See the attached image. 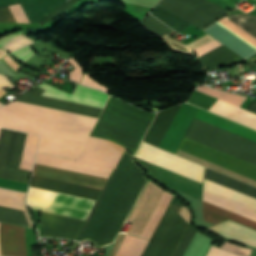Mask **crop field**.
Here are the masks:
<instances>
[{
    "label": "crop field",
    "mask_w": 256,
    "mask_h": 256,
    "mask_svg": "<svg viewBox=\"0 0 256 256\" xmlns=\"http://www.w3.org/2000/svg\"><path fill=\"white\" fill-rule=\"evenodd\" d=\"M96 119L12 101L0 108V126L41 135L39 151L75 159Z\"/></svg>",
    "instance_id": "obj_1"
},
{
    "label": "crop field",
    "mask_w": 256,
    "mask_h": 256,
    "mask_svg": "<svg viewBox=\"0 0 256 256\" xmlns=\"http://www.w3.org/2000/svg\"><path fill=\"white\" fill-rule=\"evenodd\" d=\"M144 183L142 171L125 150L77 241L89 239L98 247L114 241Z\"/></svg>",
    "instance_id": "obj_2"
},
{
    "label": "crop field",
    "mask_w": 256,
    "mask_h": 256,
    "mask_svg": "<svg viewBox=\"0 0 256 256\" xmlns=\"http://www.w3.org/2000/svg\"><path fill=\"white\" fill-rule=\"evenodd\" d=\"M37 165L52 167L56 169L86 174L90 176L100 177L108 179L112 169L102 166L92 165L88 163L78 162L74 160L64 159L60 157L50 156L46 154L38 153L36 163ZM34 167L35 176L47 177L60 181L80 184L84 186L94 187L102 189L105 184V179L90 177L86 175L56 170L52 168L37 166ZM47 178L32 177V187L51 190L55 192L70 194L74 196L84 197L88 199L96 200L100 190L84 187L80 185L60 182Z\"/></svg>",
    "instance_id": "obj_3"
},
{
    "label": "crop field",
    "mask_w": 256,
    "mask_h": 256,
    "mask_svg": "<svg viewBox=\"0 0 256 256\" xmlns=\"http://www.w3.org/2000/svg\"><path fill=\"white\" fill-rule=\"evenodd\" d=\"M205 177L208 179H211L213 181L219 182L221 184H224L226 186H229L233 189H236L238 191H241L245 194H248L250 196H253L256 198V188L253 186H250L248 184H245L243 182H240L236 179H233L231 177H228L226 175H223L221 173H218L214 170H211L209 168H206V174ZM204 180L203 189L211 192L213 194H216L220 197H223L227 200H230L234 203H237L239 205H242L246 208H249L251 210L256 211V199L253 197H250L248 195H245L241 192H238L236 190H233L229 187H226L224 185H221L219 183L213 182L211 180L206 179ZM203 190V200L206 202H209L211 204H214L216 206H219L221 208H224L226 210H229L231 212H234L236 214H239L241 216H244L246 218H249L251 220L256 221V212L251 211L249 209H246L242 206H239L237 204H234L230 201H227L223 198H220L216 195H213L211 193H208ZM203 201V208L209 211H212L214 213H217L219 215L225 216L227 218H230L232 220H235L237 222H240L242 224H245L247 226H250L252 228L256 229V222L251 221L249 219H246L244 217H241L239 215H236L234 213H231L229 211H226L224 209H221L219 207H216L214 205H211L209 203H206ZM203 209L204 219L216 224L220 221H223L227 218L219 216L217 214H214L212 212L206 211Z\"/></svg>",
    "instance_id": "obj_4"
},
{
    "label": "crop field",
    "mask_w": 256,
    "mask_h": 256,
    "mask_svg": "<svg viewBox=\"0 0 256 256\" xmlns=\"http://www.w3.org/2000/svg\"><path fill=\"white\" fill-rule=\"evenodd\" d=\"M195 118L256 141V131L199 108ZM193 119L185 137L256 164V142Z\"/></svg>",
    "instance_id": "obj_5"
},
{
    "label": "crop field",
    "mask_w": 256,
    "mask_h": 256,
    "mask_svg": "<svg viewBox=\"0 0 256 256\" xmlns=\"http://www.w3.org/2000/svg\"><path fill=\"white\" fill-rule=\"evenodd\" d=\"M179 106L180 105H177V106L171 107L169 109L158 112L144 141H146L154 146L159 147V145H160L169 125L171 124ZM179 148L189 151L191 153H194L198 156H201L203 158H206L208 160H211L213 162H216L218 164H221L223 166H226L230 169H233L235 171H238L240 173H243L245 175H248V176L256 179V165H254V164H251V163L241 160L239 158L233 157L231 155H228V154L218 151L216 149L210 148V147L200 144L198 142L192 141L185 137L181 141ZM179 148L176 151V154H178V155H181L183 157H186L188 159H191L193 161H196L198 163H201L203 165H206L208 167H211L213 169H216L218 171H221L223 173H226L228 175H231L233 177H236L240 180H243L245 182H248V183L256 186V180L253 178H250L248 176H245L243 174H240L238 172L230 170L226 167H223L221 165H218L216 163H213L211 161H208L206 159L198 157L194 154H191V153L181 150Z\"/></svg>",
    "instance_id": "obj_6"
},
{
    "label": "crop field",
    "mask_w": 256,
    "mask_h": 256,
    "mask_svg": "<svg viewBox=\"0 0 256 256\" xmlns=\"http://www.w3.org/2000/svg\"><path fill=\"white\" fill-rule=\"evenodd\" d=\"M153 116L110 97L91 135L120 143L133 155Z\"/></svg>",
    "instance_id": "obj_7"
},
{
    "label": "crop field",
    "mask_w": 256,
    "mask_h": 256,
    "mask_svg": "<svg viewBox=\"0 0 256 256\" xmlns=\"http://www.w3.org/2000/svg\"><path fill=\"white\" fill-rule=\"evenodd\" d=\"M243 58L256 53V16L231 14L204 30Z\"/></svg>",
    "instance_id": "obj_8"
},
{
    "label": "crop field",
    "mask_w": 256,
    "mask_h": 256,
    "mask_svg": "<svg viewBox=\"0 0 256 256\" xmlns=\"http://www.w3.org/2000/svg\"><path fill=\"white\" fill-rule=\"evenodd\" d=\"M96 202V201H95ZM94 201L30 187V208L85 220Z\"/></svg>",
    "instance_id": "obj_9"
},
{
    "label": "crop field",
    "mask_w": 256,
    "mask_h": 256,
    "mask_svg": "<svg viewBox=\"0 0 256 256\" xmlns=\"http://www.w3.org/2000/svg\"><path fill=\"white\" fill-rule=\"evenodd\" d=\"M187 225L169 204L142 256H171Z\"/></svg>",
    "instance_id": "obj_10"
},
{
    "label": "crop field",
    "mask_w": 256,
    "mask_h": 256,
    "mask_svg": "<svg viewBox=\"0 0 256 256\" xmlns=\"http://www.w3.org/2000/svg\"><path fill=\"white\" fill-rule=\"evenodd\" d=\"M158 5L200 29L229 13L207 0H162Z\"/></svg>",
    "instance_id": "obj_11"
},
{
    "label": "crop field",
    "mask_w": 256,
    "mask_h": 256,
    "mask_svg": "<svg viewBox=\"0 0 256 256\" xmlns=\"http://www.w3.org/2000/svg\"><path fill=\"white\" fill-rule=\"evenodd\" d=\"M135 156L202 183L205 167L150 144L142 142Z\"/></svg>",
    "instance_id": "obj_12"
},
{
    "label": "crop field",
    "mask_w": 256,
    "mask_h": 256,
    "mask_svg": "<svg viewBox=\"0 0 256 256\" xmlns=\"http://www.w3.org/2000/svg\"><path fill=\"white\" fill-rule=\"evenodd\" d=\"M124 150L112 141L89 136L78 160L115 168Z\"/></svg>",
    "instance_id": "obj_13"
},
{
    "label": "crop field",
    "mask_w": 256,
    "mask_h": 256,
    "mask_svg": "<svg viewBox=\"0 0 256 256\" xmlns=\"http://www.w3.org/2000/svg\"><path fill=\"white\" fill-rule=\"evenodd\" d=\"M163 193V189L148 181L128 218L133 222L128 233L140 236Z\"/></svg>",
    "instance_id": "obj_14"
},
{
    "label": "crop field",
    "mask_w": 256,
    "mask_h": 256,
    "mask_svg": "<svg viewBox=\"0 0 256 256\" xmlns=\"http://www.w3.org/2000/svg\"><path fill=\"white\" fill-rule=\"evenodd\" d=\"M25 135L26 133L14 131L6 165L18 168ZM38 141L37 135L27 133L19 168L31 171Z\"/></svg>",
    "instance_id": "obj_15"
},
{
    "label": "crop field",
    "mask_w": 256,
    "mask_h": 256,
    "mask_svg": "<svg viewBox=\"0 0 256 256\" xmlns=\"http://www.w3.org/2000/svg\"><path fill=\"white\" fill-rule=\"evenodd\" d=\"M38 87L46 90L42 94L43 96H48L52 98L62 99L66 101L76 102L100 108H103L105 102L109 97V95L104 92L90 89L82 85H77L73 95L60 91L45 83L39 85Z\"/></svg>",
    "instance_id": "obj_16"
},
{
    "label": "crop field",
    "mask_w": 256,
    "mask_h": 256,
    "mask_svg": "<svg viewBox=\"0 0 256 256\" xmlns=\"http://www.w3.org/2000/svg\"><path fill=\"white\" fill-rule=\"evenodd\" d=\"M43 92L44 90L37 87L34 92L29 93L26 91L16 100L44 107L54 108L58 110L68 111L72 113H77L81 115L91 116L95 118L98 117L101 111V109L99 108L89 107L85 105L40 96Z\"/></svg>",
    "instance_id": "obj_17"
},
{
    "label": "crop field",
    "mask_w": 256,
    "mask_h": 256,
    "mask_svg": "<svg viewBox=\"0 0 256 256\" xmlns=\"http://www.w3.org/2000/svg\"><path fill=\"white\" fill-rule=\"evenodd\" d=\"M24 195L22 193L0 189V204L26 210L23 204ZM10 207L0 206V221L30 228L32 222L27 212Z\"/></svg>",
    "instance_id": "obj_18"
},
{
    "label": "crop field",
    "mask_w": 256,
    "mask_h": 256,
    "mask_svg": "<svg viewBox=\"0 0 256 256\" xmlns=\"http://www.w3.org/2000/svg\"><path fill=\"white\" fill-rule=\"evenodd\" d=\"M84 221L42 212L41 234L75 239Z\"/></svg>",
    "instance_id": "obj_19"
},
{
    "label": "crop field",
    "mask_w": 256,
    "mask_h": 256,
    "mask_svg": "<svg viewBox=\"0 0 256 256\" xmlns=\"http://www.w3.org/2000/svg\"><path fill=\"white\" fill-rule=\"evenodd\" d=\"M0 241L2 255L27 256L25 249L24 228L9 226L1 223Z\"/></svg>",
    "instance_id": "obj_20"
},
{
    "label": "crop field",
    "mask_w": 256,
    "mask_h": 256,
    "mask_svg": "<svg viewBox=\"0 0 256 256\" xmlns=\"http://www.w3.org/2000/svg\"><path fill=\"white\" fill-rule=\"evenodd\" d=\"M67 0H0V7L20 3L29 22H37Z\"/></svg>",
    "instance_id": "obj_21"
},
{
    "label": "crop field",
    "mask_w": 256,
    "mask_h": 256,
    "mask_svg": "<svg viewBox=\"0 0 256 256\" xmlns=\"http://www.w3.org/2000/svg\"><path fill=\"white\" fill-rule=\"evenodd\" d=\"M1 130L2 128H0V134ZM12 133V130L4 128L2 130V135L0 139V177L2 178L4 175L5 164L9 153ZM30 173L31 172L29 171L6 166L4 178L28 183Z\"/></svg>",
    "instance_id": "obj_22"
},
{
    "label": "crop field",
    "mask_w": 256,
    "mask_h": 256,
    "mask_svg": "<svg viewBox=\"0 0 256 256\" xmlns=\"http://www.w3.org/2000/svg\"><path fill=\"white\" fill-rule=\"evenodd\" d=\"M209 111L256 129V114L217 100Z\"/></svg>",
    "instance_id": "obj_23"
},
{
    "label": "crop field",
    "mask_w": 256,
    "mask_h": 256,
    "mask_svg": "<svg viewBox=\"0 0 256 256\" xmlns=\"http://www.w3.org/2000/svg\"><path fill=\"white\" fill-rule=\"evenodd\" d=\"M199 58L205 65L207 71L215 67L229 65L243 59L223 45Z\"/></svg>",
    "instance_id": "obj_24"
},
{
    "label": "crop field",
    "mask_w": 256,
    "mask_h": 256,
    "mask_svg": "<svg viewBox=\"0 0 256 256\" xmlns=\"http://www.w3.org/2000/svg\"><path fill=\"white\" fill-rule=\"evenodd\" d=\"M148 241L125 235L115 256H141Z\"/></svg>",
    "instance_id": "obj_25"
},
{
    "label": "crop field",
    "mask_w": 256,
    "mask_h": 256,
    "mask_svg": "<svg viewBox=\"0 0 256 256\" xmlns=\"http://www.w3.org/2000/svg\"><path fill=\"white\" fill-rule=\"evenodd\" d=\"M170 194L165 191L158 206L156 207V209H155L154 213L152 214L150 220L148 221L145 229L143 230L141 237L150 239L154 229L156 228L160 218L162 217L166 207L168 206V204L172 198V195H170Z\"/></svg>",
    "instance_id": "obj_26"
},
{
    "label": "crop field",
    "mask_w": 256,
    "mask_h": 256,
    "mask_svg": "<svg viewBox=\"0 0 256 256\" xmlns=\"http://www.w3.org/2000/svg\"><path fill=\"white\" fill-rule=\"evenodd\" d=\"M214 240L196 231L184 256H206Z\"/></svg>",
    "instance_id": "obj_27"
},
{
    "label": "crop field",
    "mask_w": 256,
    "mask_h": 256,
    "mask_svg": "<svg viewBox=\"0 0 256 256\" xmlns=\"http://www.w3.org/2000/svg\"><path fill=\"white\" fill-rule=\"evenodd\" d=\"M151 14H153L158 19H160L161 21H163L168 26H170L178 32L182 31L183 29L191 25L158 6L154 9V11Z\"/></svg>",
    "instance_id": "obj_28"
},
{
    "label": "crop field",
    "mask_w": 256,
    "mask_h": 256,
    "mask_svg": "<svg viewBox=\"0 0 256 256\" xmlns=\"http://www.w3.org/2000/svg\"><path fill=\"white\" fill-rule=\"evenodd\" d=\"M197 90L207 93L216 98H220V99L227 101L231 104H234L238 107H240V105L246 98L245 96H240V95H235V94H231V93H227V92H223V91H218V90H215L212 88H208L206 86H199L197 88Z\"/></svg>",
    "instance_id": "obj_29"
},
{
    "label": "crop field",
    "mask_w": 256,
    "mask_h": 256,
    "mask_svg": "<svg viewBox=\"0 0 256 256\" xmlns=\"http://www.w3.org/2000/svg\"><path fill=\"white\" fill-rule=\"evenodd\" d=\"M161 38H163L165 40V42L168 43L170 46H172L174 49H176L178 51H181V52H185V53H187V52L191 51L192 49H194V48H196V47L214 39L210 35L207 34L204 37H202V38L184 46L185 44L182 45L183 43L180 44L179 42L169 38L167 35H165Z\"/></svg>",
    "instance_id": "obj_30"
},
{
    "label": "crop field",
    "mask_w": 256,
    "mask_h": 256,
    "mask_svg": "<svg viewBox=\"0 0 256 256\" xmlns=\"http://www.w3.org/2000/svg\"><path fill=\"white\" fill-rule=\"evenodd\" d=\"M142 25L158 37L172 30L149 14L143 20Z\"/></svg>",
    "instance_id": "obj_31"
},
{
    "label": "crop field",
    "mask_w": 256,
    "mask_h": 256,
    "mask_svg": "<svg viewBox=\"0 0 256 256\" xmlns=\"http://www.w3.org/2000/svg\"><path fill=\"white\" fill-rule=\"evenodd\" d=\"M32 43H34L33 40H31L28 37H26V36L21 34L20 36H18L16 39H14L12 42L7 44L3 48H5L8 51L12 52L14 50H17L19 48L25 47V46L30 45Z\"/></svg>",
    "instance_id": "obj_32"
},
{
    "label": "crop field",
    "mask_w": 256,
    "mask_h": 256,
    "mask_svg": "<svg viewBox=\"0 0 256 256\" xmlns=\"http://www.w3.org/2000/svg\"><path fill=\"white\" fill-rule=\"evenodd\" d=\"M195 229L192 227V225L190 224L187 232L185 233L181 243L179 244L176 252L174 253L173 256H183L188 244L190 243L194 233H195Z\"/></svg>",
    "instance_id": "obj_33"
},
{
    "label": "crop field",
    "mask_w": 256,
    "mask_h": 256,
    "mask_svg": "<svg viewBox=\"0 0 256 256\" xmlns=\"http://www.w3.org/2000/svg\"><path fill=\"white\" fill-rule=\"evenodd\" d=\"M76 0H68L64 5H62L59 9L56 11L52 12L48 17H46L44 20L38 22L40 25L54 19L55 17L59 16L66 10H68L75 2Z\"/></svg>",
    "instance_id": "obj_34"
},
{
    "label": "crop field",
    "mask_w": 256,
    "mask_h": 256,
    "mask_svg": "<svg viewBox=\"0 0 256 256\" xmlns=\"http://www.w3.org/2000/svg\"><path fill=\"white\" fill-rule=\"evenodd\" d=\"M13 56L20 62L26 61L33 53L29 46L12 52Z\"/></svg>",
    "instance_id": "obj_35"
},
{
    "label": "crop field",
    "mask_w": 256,
    "mask_h": 256,
    "mask_svg": "<svg viewBox=\"0 0 256 256\" xmlns=\"http://www.w3.org/2000/svg\"><path fill=\"white\" fill-rule=\"evenodd\" d=\"M222 44H220L218 41H216L215 39L194 49L196 51V53L198 54V57L209 52L210 50L220 46Z\"/></svg>",
    "instance_id": "obj_36"
},
{
    "label": "crop field",
    "mask_w": 256,
    "mask_h": 256,
    "mask_svg": "<svg viewBox=\"0 0 256 256\" xmlns=\"http://www.w3.org/2000/svg\"><path fill=\"white\" fill-rule=\"evenodd\" d=\"M121 1L153 8L158 3L159 0H121Z\"/></svg>",
    "instance_id": "obj_37"
},
{
    "label": "crop field",
    "mask_w": 256,
    "mask_h": 256,
    "mask_svg": "<svg viewBox=\"0 0 256 256\" xmlns=\"http://www.w3.org/2000/svg\"><path fill=\"white\" fill-rule=\"evenodd\" d=\"M68 62L76 67L75 70L70 72V79L79 82L82 75V68L73 60V58Z\"/></svg>",
    "instance_id": "obj_38"
},
{
    "label": "crop field",
    "mask_w": 256,
    "mask_h": 256,
    "mask_svg": "<svg viewBox=\"0 0 256 256\" xmlns=\"http://www.w3.org/2000/svg\"><path fill=\"white\" fill-rule=\"evenodd\" d=\"M81 84H85V85H88V86H91V87H95V88H98V89H101V90H104L106 92H109L108 89H106L104 86H100L98 83H96L92 78H90L88 75L84 74V76L82 77L81 81H80Z\"/></svg>",
    "instance_id": "obj_39"
},
{
    "label": "crop field",
    "mask_w": 256,
    "mask_h": 256,
    "mask_svg": "<svg viewBox=\"0 0 256 256\" xmlns=\"http://www.w3.org/2000/svg\"><path fill=\"white\" fill-rule=\"evenodd\" d=\"M8 86L9 88L13 87L12 83L9 81V79L3 75L0 74V96L7 93L6 91H4L2 88ZM2 97V96H1ZM0 97V99H1ZM3 105L0 103V106Z\"/></svg>",
    "instance_id": "obj_40"
},
{
    "label": "crop field",
    "mask_w": 256,
    "mask_h": 256,
    "mask_svg": "<svg viewBox=\"0 0 256 256\" xmlns=\"http://www.w3.org/2000/svg\"><path fill=\"white\" fill-rule=\"evenodd\" d=\"M19 34H21L20 31L16 32V33H13V34L3 36L2 38H0V47L2 48L3 46H5L7 43H9L11 40H13Z\"/></svg>",
    "instance_id": "obj_41"
},
{
    "label": "crop field",
    "mask_w": 256,
    "mask_h": 256,
    "mask_svg": "<svg viewBox=\"0 0 256 256\" xmlns=\"http://www.w3.org/2000/svg\"><path fill=\"white\" fill-rule=\"evenodd\" d=\"M123 237H124V234H119V236H118L116 242L114 243V245H113V247H112L108 256H113L115 254V252H116L118 246L120 245Z\"/></svg>",
    "instance_id": "obj_42"
},
{
    "label": "crop field",
    "mask_w": 256,
    "mask_h": 256,
    "mask_svg": "<svg viewBox=\"0 0 256 256\" xmlns=\"http://www.w3.org/2000/svg\"><path fill=\"white\" fill-rule=\"evenodd\" d=\"M0 72L15 76L1 60H0Z\"/></svg>",
    "instance_id": "obj_43"
},
{
    "label": "crop field",
    "mask_w": 256,
    "mask_h": 256,
    "mask_svg": "<svg viewBox=\"0 0 256 256\" xmlns=\"http://www.w3.org/2000/svg\"><path fill=\"white\" fill-rule=\"evenodd\" d=\"M4 60L11 66L13 67L15 70L17 69V67L19 65H17L13 60H11L8 55L6 57H4Z\"/></svg>",
    "instance_id": "obj_44"
},
{
    "label": "crop field",
    "mask_w": 256,
    "mask_h": 256,
    "mask_svg": "<svg viewBox=\"0 0 256 256\" xmlns=\"http://www.w3.org/2000/svg\"><path fill=\"white\" fill-rule=\"evenodd\" d=\"M247 110L256 113V101L250 102Z\"/></svg>",
    "instance_id": "obj_45"
},
{
    "label": "crop field",
    "mask_w": 256,
    "mask_h": 256,
    "mask_svg": "<svg viewBox=\"0 0 256 256\" xmlns=\"http://www.w3.org/2000/svg\"><path fill=\"white\" fill-rule=\"evenodd\" d=\"M8 54L5 50L0 49V58Z\"/></svg>",
    "instance_id": "obj_46"
}]
</instances>
